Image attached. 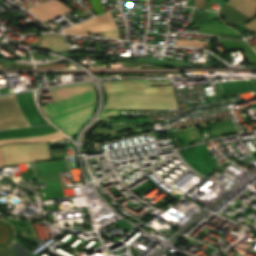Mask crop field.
<instances>
[{"label":"crop field","mask_w":256,"mask_h":256,"mask_svg":"<svg viewBox=\"0 0 256 256\" xmlns=\"http://www.w3.org/2000/svg\"><path fill=\"white\" fill-rule=\"evenodd\" d=\"M84 121L74 125V126H71L69 128H66L65 130L68 131L71 135H73L74 133H76V131L78 130V128L83 124Z\"/></svg>","instance_id":"crop-field-19"},{"label":"crop field","mask_w":256,"mask_h":256,"mask_svg":"<svg viewBox=\"0 0 256 256\" xmlns=\"http://www.w3.org/2000/svg\"><path fill=\"white\" fill-rule=\"evenodd\" d=\"M63 134L60 132L52 133L47 136L41 137H33V138H24V139H8V140H0V145L7 144V143H15V142H43V141H54L58 139H65Z\"/></svg>","instance_id":"crop-field-13"},{"label":"crop field","mask_w":256,"mask_h":256,"mask_svg":"<svg viewBox=\"0 0 256 256\" xmlns=\"http://www.w3.org/2000/svg\"><path fill=\"white\" fill-rule=\"evenodd\" d=\"M1 151L5 164L50 159L46 143L5 145Z\"/></svg>","instance_id":"crop-field-3"},{"label":"crop field","mask_w":256,"mask_h":256,"mask_svg":"<svg viewBox=\"0 0 256 256\" xmlns=\"http://www.w3.org/2000/svg\"><path fill=\"white\" fill-rule=\"evenodd\" d=\"M92 108H93V105L90 106V107H87V108H85V109L79 110V111H77V112H74V113H72V114H69V115H67V116H64V117H61V118H59V119H56V120H54V122H55L56 124H58V123H60V122H62V121H65V120L70 119V118H72V117H74V116H77V115L82 114V113H84V112H86V111H89V110H91ZM91 111H92V110H91ZM91 111H89V112H87V113H84V114H82V115H79V116H77V117H75V118H72V119H70V120H67V121H65V122H63V123H60V124H58V125H59L60 127L64 128V127H66V126H68V125H71V124L77 122V121H80V120H82V119H85V118L89 117V116L91 115Z\"/></svg>","instance_id":"crop-field-12"},{"label":"crop field","mask_w":256,"mask_h":256,"mask_svg":"<svg viewBox=\"0 0 256 256\" xmlns=\"http://www.w3.org/2000/svg\"><path fill=\"white\" fill-rule=\"evenodd\" d=\"M0 256H13L8 245H6L4 247H0Z\"/></svg>","instance_id":"crop-field-18"},{"label":"crop field","mask_w":256,"mask_h":256,"mask_svg":"<svg viewBox=\"0 0 256 256\" xmlns=\"http://www.w3.org/2000/svg\"><path fill=\"white\" fill-rule=\"evenodd\" d=\"M0 165H4L2 155H1V151H0Z\"/></svg>","instance_id":"crop-field-22"},{"label":"crop field","mask_w":256,"mask_h":256,"mask_svg":"<svg viewBox=\"0 0 256 256\" xmlns=\"http://www.w3.org/2000/svg\"><path fill=\"white\" fill-rule=\"evenodd\" d=\"M176 45L182 46H201L207 48V42L205 41H194V40H177Z\"/></svg>","instance_id":"crop-field-15"},{"label":"crop field","mask_w":256,"mask_h":256,"mask_svg":"<svg viewBox=\"0 0 256 256\" xmlns=\"http://www.w3.org/2000/svg\"><path fill=\"white\" fill-rule=\"evenodd\" d=\"M41 43L38 47L46 50L53 51L54 53L70 50L64 37L58 35H43L40 37Z\"/></svg>","instance_id":"crop-field-11"},{"label":"crop field","mask_w":256,"mask_h":256,"mask_svg":"<svg viewBox=\"0 0 256 256\" xmlns=\"http://www.w3.org/2000/svg\"><path fill=\"white\" fill-rule=\"evenodd\" d=\"M103 37H115V38H120L118 30H117V31H113V32L103 33Z\"/></svg>","instance_id":"crop-field-20"},{"label":"crop field","mask_w":256,"mask_h":256,"mask_svg":"<svg viewBox=\"0 0 256 256\" xmlns=\"http://www.w3.org/2000/svg\"><path fill=\"white\" fill-rule=\"evenodd\" d=\"M0 1H2V0H0Z\"/></svg>","instance_id":"crop-field-23"},{"label":"crop field","mask_w":256,"mask_h":256,"mask_svg":"<svg viewBox=\"0 0 256 256\" xmlns=\"http://www.w3.org/2000/svg\"><path fill=\"white\" fill-rule=\"evenodd\" d=\"M55 131L57 130L50 125L9 129V130L0 131V139L41 136V135L50 134Z\"/></svg>","instance_id":"crop-field-10"},{"label":"crop field","mask_w":256,"mask_h":256,"mask_svg":"<svg viewBox=\"0 0 256 256\" xmlns=\"http://www.w3.org/2000/svg\"><path fill=\"white\" fill-rule=\"evenodd\" d=\"M178 153L188 165L204 176L218 167L204 144L180 149Z\"/></svg>","instance_id":"crop-field-4"},{"label":"crop field","mask_w":256,"mask_h":256,"mask_svg":"<svg viewBox=\"0 0 256 256\" xmlns=\"http://www.w3.org/2000/svg\"><path fill=\"white\" fill-rule=\"evenodd\" d=\"M118 29L110 12L68 28L64 33L81 34L105 32Z\"/></svg>","instance_id":"crop-field-6"},{"label":"crop field","mask_w":256,"mask_h":256,"mask_svg":"<svg viewBox=\"0 0 256 256\" xmlns=\"http://www.w3.org/2000/svg\"><path fill=\"white\" fill-rule=\"evenodd\" d=\"M56 103L42 106L47 117L95 102L92 84H78L50 90Z\"/></svg>","instance_id":"crop-field-2"},{"label":"crop field","mask_w":256,"mask_h":256,"mask_svg":"<svg viewBox=\"0 0 256 256\" xmlns=\"http://www.w3.org/2000/svg\"><path fill=\"white\" fill-rule=\"evenodd\" d=\"M108 93L106 108H177L172 87H149L147 80L103 83Z\"/></svg>","instance_id":"crop-field-1"},{"label":"crop field","mask_w":256,"mask_h":256,"mask_svg":"<svg viewBox=\"0 0 256 256\" xmlns=\"http://www.w3.org/2000/svg\"><path fill=\"white\" fill-rule=\"evenodd\" d=\"M32 14L38 17L43 22L48 21L60 14L72 11L59 0H52L45 3L38 4L28 9Z\"/></svg>","instance_id":"crop-field-8"},{"label":"crop field","mask_w":256,"mask_h":256,"mask_svg":"<svg viewBox=\"0 0 256 256\" xmlns=\"http://www.w3.org/2000/svg\"><path fill=\"white\" fill-rule=\"evenodd\" d=\"M243 6L256 11V0H234ZM229 0L228 4L222 9L221 13L226 17L228 24L242 25L246 20L252 18L255 12L243 7L242 5Z\"/></svg>","instance_id":"crop-field-5"},{"label":"crop field","mask_w":256,"mask_h":256,"mask_svg":"<svg viewBox=\"0 0 256 256\" xmlns=\"http://www.w3.org/2000/svg\"><path fill=\"white\" fill-rule=\"evenodd\" d=\"M26 124L13 97L0 100V128Z\"/></svg>","instance_id":"crop-field-7"},{"label":"crop field","mask_w":256,"mask_h":256,"mask_svg":"<svg viewBox=\"0 0 256 256\" xmlns=\"http://www.w3.org/2000/svg\"><path fill=\"white\" fill-rule=\"evenodd\" d=\"M117 114H118V112H117V110H116V111L104 113V114L101 115L100 118H102V117H104V116L117 115Z\"/></svg>","instance_id":"crop-field-21"},{"label":"crop field","mask_w":256,"mask_h":256,"mask_svg":"<svg viewBox=\"0 0 256 256\" xmlns=\"http://www.w3.org/2000/svg\"><path fill=\"white\" fill-rule=\"evenodd\" d=\"M16 96L18 98L17 100H18L19 106L25 118L27 119L28 123L31 126L49 124L38 113L33 102L32 92L20 93V94H16Z\"/></svg>","instance_id":"crop-field-9"},{"label":"crop field","mask_w":256,"mask_h":256,"mask_svg":"<svg viewBox=\"0 0 256 256\" xmlns=\"http://www.w3.org/2000/svg\"><path fill=\"white\" fill-rule=\"evenodd\" d=\"M10 248L14 256H34L15 240L10 244Z\"/></svg>","instance_id":"crop-field-14"},{"label":"crop field","mask_w":256,"mask_h":256,"mask_svg":"<svg viewBox=\"0 0 256 256\" xmlns=\"http://www.w3.org/2000/svg\"><path fill=\"white\" fill-rule=\"evenodd\" d=\"M10 237V229L4 224L0 223V244H4Z\"/></svg>","instance_id":"crop-field-16"},{"label":"crop field","mask_w":256,"mask_h":256,"mask_svg":"<svg viewBox=\"0 0 256 256\" xmlns=\"http://www.w3.org/2000/svg\"><path fill=\"white\" fill-rule=\"evenodd\" d=\"M246 28L250 29L254 33H256V18L252 19L251 21L247 22L245 25Z\"/></svg>","instance_id":"crop-field-17"}]
</instances>
